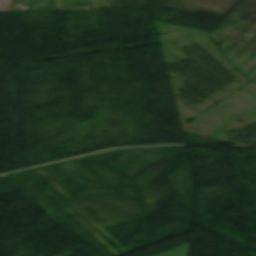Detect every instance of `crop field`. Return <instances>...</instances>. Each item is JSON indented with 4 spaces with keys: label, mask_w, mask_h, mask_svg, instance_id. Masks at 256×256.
Listing matches in <instances>:
<instances>
[{
    "label": "crop field",
    "mask_w": 256,
    "mask_h": 256,
    "mask_svg": "<svg viewBox=\"0 0 256 256\" xmlns=\"http://www.w3.org/2000/svg\"><path fill=\"white\" fill-rule=\"evenodd\" d=\"M183 255H184V250L181 252L175 253L173 255H170V256H183Z\"/></svg>",
    "instance_id": "8a807250"
},
{
    "label": "crop field",
    "mask_w": 256,
    "mask_h": 256,
    "mask_svg": "<svg viewBox=\"0 0 256 256\" xmlns=\"http://www.w3.org/2000/svg\"><path fill=\"white\" fill-rule=\"evenodd\" d=\"M250 42L256 43V36Z\"/></svg>",
    "instance_id": "ac0d7876"
}]
</instances>
